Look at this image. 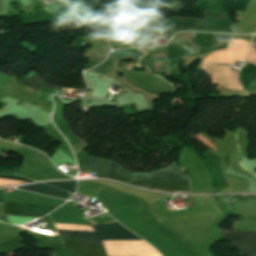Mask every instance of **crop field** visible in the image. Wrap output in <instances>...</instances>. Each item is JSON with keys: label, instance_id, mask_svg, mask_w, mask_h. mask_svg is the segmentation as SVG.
<instances>
[{"label": "crop field", "instance_id": "obj_13", "mask_svg": "<svg viewBox=\"0 0 256 256\" xmlns=\"http://www.w3.org/2000/svg\"><path fill=\"white\" fill-rule=\"evenodd\" d=\"M180 22L181 25L205 28V20L200 21L199 19H180Z\"/></svg>", "mask_w": 256, "mask_h": 256}, {"label": "crop field", "instance_id": "obj_4", "mask_svg": "<svg viewBox=\"0 0 256 256\" xmlns=\"http://www.w3.org/2000/svg\"><path fill=\"white\" fill-rule=\"evenodd\" d=\"M92 227L101 240H142L131 231L125 229L118 222L107 225L100 224Z\"/></svg>", "mask_w": 256, "mask_h": 256}, {"label": "crop field", "instance_id": "obj_3", "mask_svg": "<svg viewBox=\"0 0 256 256\" xmlns=\"http://www.w3.org/2000/svg\"><path fill=\"white\" fill-rule=\"evenodd\" d=\"M221 231L223 239L231 241V248H238L240 256H256V232L240 231L228 232Z\"/></svg>", "mask_w": 256, "mask_h": 256}, {"label": "crop field", "instance_id": "obj_17", "mask_svg": "<svg viewBox=\"0 0 256 256\" xmlns=\"http://www.w3.org/2000/svg\"><path fill=\"white\" fill-rule=\"evenodd\" d=\"M238 200H256V195H245Z\"/></svg>", "mask_w": 256, "mask_h": 256}, {"label": "crop field", "instance_id": "obj_8", "mask_svg": "<svg viewBox=\"0 0 256 256\" xmlns=\"http://www.w3.org/2000/svg\"><path fill=\"white\" fill-rule=\"evenodd\" d=\"M18 189H25V190L45 194V195L63 198V199H66L68 194L67 192L52 188L42 183L18 187Z\"/></svg>", "mask_w": 256, "mask_h": 256}, {"label": "crop field", "instance_id": "obj_7", "mask_svg": "<svg viewBox=\"0 0 256 256\" xmlns=\"http://www.w3.org/2000/svg\"><path fill=\"white\" fill-rule=\"evenodd\" d=\"M157 25H150V26H141L132 28L126 31L115 30V29H107L106 33L109 34H116V35H123V36H130V37H145L150 38L155 30Z\"/></svg>", "mask_w": 256, "mask_h": 256}, {"label": "crop field", "instance_id": "obj_6", "mask_svg": "<svg viewBox=\"0 0 256 256\" xmlns=\"http://www.w3.org/2000/svg\"><path fill=\"white\" fill-rule=\"evenodd\" d=\"M138 49H133V50H118V51H113L110 56L99 66L91 69V71L99 72L105 74L114 60L118 59H123V58H131V59H136L139 60L140 57L144 56V53H139Z\"/></svg>", "mask_w": 256, "mask_h": 256}, {"label": "crop field", "instance_id": "obj_12", "mask_svg": "<svg viewBox=\"0 0 256 256\" xmlns=\"http://www.w3.org/2000/svg\"><path fill=\"white\" fill-rule=\"evenodd\" d=\"M229 37L230 36L215 35L213 38L212 51L226 48Z\"/></svg>", "mask_w": 256, "mask_h": 256}, {"label": "crop field", "instance_id": "obj_5", "mask_svg": "<svg viewBox=\"0 0 256 256\" xmlns=\"http://www.w3.org/2000/svg\"><path fill=\"white\" fill-rule=\"evenodd\" d=\"M4 204L6 208V214L32 216V217H41L56 208V207L23 204V203H11V202H4Z\"/></svg>", "mask_w": 256, "mask_h": 256}, {"label": "crop field", "instance_id": "obj_18", "mask_svg": "<svg viewBox=\"0 0 256 256\" xmlns=\"http://www.w3.org/2000/svg\"><path fill=\"white\" fill-rule=\"evenodd\" d=\"M28 90H30V89H28ZM32 91V90H31ZM34 92V91H33Z\"/></svg>", "mask_w": 256, "mask_h": 256}, {"label": "crop field", "instance_id": "obj_16", "mask_svg": "<svg viewBox=\"0 0 256 256\" xmlns=\"http://www.w3.org/2000/svg\"><path fill=\"white\" fill-rule=\"evenodd\" d=\"M0 178H7V179H14V180H22V181L33 182V181L28 180V179H24V178H20V177H15V176H7V175H0Z\"/></svg>", "mask_w": 256, "mask_h": 256}, {"label": "crop field", "instance_id": "obj_2", "mask_svg": "<svg viewBox=\"0 0 256 256\" xmlns=\"http://www.w3.org/2000/svg\"><path fill=\"white\" fill-rule=\"evenodd\" d=\"M60 236L65 239L101 244L98 236L95 232H86V231H66L58 230ZM62 239L63 243H52V245L66 246L69 247L84 256H106V252L103 246L65 240Z\"/></svg>", "mask_w": 256, "mask_h": 256}, {"label": "crop field", "instance_id": "obj_15", "mask_svg": "<svg viewBox=\"0 0 256 256\" xmlns=\"http://www.w3.org/2000/svg\"><path fill=\"white\" fill-rule=\"evenodd\" d=\"M197 135H199V134H197ZM199 136H200V139L198 141H200L201 143H203L207 147L217 151L213 142H211L210 140H208L207 138H205V137H203L201 135H199Z\"/></svg>", "mask_w": 256, "mask_h": 256}, {"label": "crop field", "instance_id": "obj_19", "mask_svg": "<svg viewBox=\"0 0 256 256\" xmlns=\"http://www.w3.org/2000/svg\"><path fill=\"white\" fill-rule=\"evenodd\" d=\"M168 210V209H167Z\"/></svg>", "mask_w": 256, "mask_h": 256}, {"label": "crop field", "instance_id": "obj_14", "mask_svg": "<svg viewBox=\"0 0 256 256\" xmlns=\"http://www.w3.org/2000/svg\"><path fill=\"white\" fill-rule=\"evenodd\" d=\"M87 146H88V144L85 143V142L82 140L81 142H79V143H77V144H75V145H73V146H71V147H72L74 153L76 154V153L82 151V150H83L85 147H87Z\"/></svg>", "mask_w": 256, "mask_h": 256}, {"label": "crop field", "instance_id": "obj_1", "mask_svg": "<svg viewBox=\"0 0 256 256\" xmlns=\"http://www.w3.org/2000/svg\"><path fill=\"white\" fill-rule=\"evenodd\" d=\"M83 170L119 176L123 178H131L132 172H128L124 167L118 163L91 158L87 164L82 168ZM98 177H105L109 179L124 181L133 185H143L151 188L165 189V190H189V183H157L128 180L114 176L101 175ZM131 179L158 181V182H189V176L175 162L163 170L151 173H133Z\"/></svg>", "mask_w": 256, "mask_h": 256}, {"label": "crop field", "instance_id": "obj_9", "mask_svg": "<svg viewBox=\"0 0 256 256\" xmlns=\"http://www.w3.org/2000/svg\"><path fill=\"white\" fill-rule=\"evenodd\" d=\"M53 122L56 124L57 128L62 132V134L67 138L70 145L80 141L71 133L69 124L63 120V115H53Z\"/></svg>", "mask_w": 256, "mask_h": 256}, {"label": "crop field", "instance_id": "obj_10", "mask_svg": "<svg viewBox=\"0 0 256 256\" xmlns=\"http://www.w3.org/2000/svg\"><path fill=\"white\" fill-rule=\"evenodd\" d=\"M19 82L34 89L40 90L42 87L52 89L54 86L48 85L43 81L39 80L35 72H30L24 79H19Z\"/></svg>", "mask_w": 256, "mask_h": 256}, {"label": "crop field", "instance_id": "obj_11", "mask_svg": "<svg viewBox=\"0 0 256 256\" xmlns=\"http://www.w3.org/2000/svg\"><path fill=\"white\" fill-rule=\"evenodd\" d=\"M45 183L75 194V187H76L77 181L45 182Z\"/></svg>", "mask_w": 256, "mask_h": 256}]
</instances>
